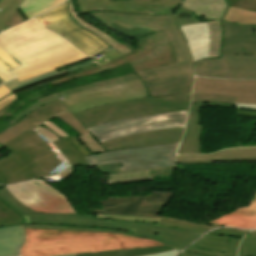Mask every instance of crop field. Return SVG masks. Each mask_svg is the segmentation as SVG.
<instances>
[{
    "mask_svg": "<svg viewBox=\"0 0 256 256\" xmlns=\"http://www.w3.org/2000/svg\"><path fill=\"white\" fill-rule=\"evenodd\" d=\"M104 26L130 38H140L163 30L169 37L177 63L138 71L150 97L191 91L194 63L183 35L172 16L88 12Z\"/></svg>",
    "mask_w": 256,
    "mask_h": 256,
    "instance_id": "1",
    "label": "crop field"
},
{
    "mask_svg": "<svg viewBox=\"0 0 256 256\" xmlns=\"http://www.w3.org/2000/svg\"><path fill=\"white\" fill-rule=\"evenodd\" d=\"M0 199L24 217V223L61 224L118 229L133 232L132 236L157 240L167 246L114 250L77 256H141L174 249L182 250L201 233L172 229L153 223L127 222L95 219V215L87 214H40L32 212L19 204L5 188L0 189Z\"/></svg>",
    "mask_w": 256,
    "mask_h": 256,
    "instance_id": "2",
    "label": "crop field"
},
{
    "mask_svg": "<svg viewBox=\"0 0 256 256\" xmlns=\"http://www.w3.org/2000/svg\"><path fill=\"white\" fill-rule=\"evenodd\" d=\"M0 45L24 65L11 71L17 77L83 55L34 19L0 33Z\"/></svg>",
    "mask_w": 256,
    "mask_h": 256,
    "instance_id": "3",
    "label": "crop field"
},
{
    "mask_svg": "<svg viewBox=\"0 0 256 256\" xmlns=\"http://www.w3.org/2000/svg\"><path fill=\"white\" fill-rule=\"evenodd\" d=\"M3 145L13 153L0 158V184L52 176L68 166L56 148L35 131L23 132Z\"/></svg>",
    "mask_w": 256,
    "mask_h": 256,
    "instance_id": "4",
    "label": "crop field"
},
{
    "mask_svg": "<svg viewBox=\"0 0 256 256\" xmlns=\"http://www.w3.org/2000/svg\"><path fill=\"white\" fill-rule=\"evenodd\" d=\"M162 245L150 239H139L105 233L26 229V243L21 248L20 253L21 256H48Z\"/></svg>",
    "mask_w": 256,
    "mask_h": 256,
    "instance_id": "5",
    "label": "crop field"
},
{
    "mask_svg": "<svg viewBox=\"0 0 256 256\" xmlns=\"http://www.w3.org/2000/svg\"><path fill=\"white\" fill-rule=\"evenodd\" d=\"M224 38L220 59L201 60L195 75L225 79L256 78V36L253 26L222 22Z\"/></svg>",
    "mask_w": 256,
    "mask_h": 256,
    "instance_id": "6",
    "label": "crop field"
},
{
    "mask_svg": "<svg viewBox=\"0 0 256 256\" xmlns=\"http://www.w3.org/2000/svg\"><path fill=\"white\" fill-rule=\"evenodd\" d=\"M191 92L180 95L142 98L122 103L104 105L74 113L86 127L123 118L139 117L169 111L188 110Z\"/></svg>",
    "mask_w": 256,
    "mask_h": 256,
    "instance_id": "7",
    "label": "crop field"
},
{
    "mask_svg": "<svg viewBox=\"0 0 256 256\" xmlns=\"http://www.w3.org/2000/svg\"><path fill=\"white\" fill-rule=\"evenodd\" d=\"M175 62L172 45L165 33L161 31L138 39L137 48L124 56L88 71L66 76L51 82L50 85H55L80 76L95 74L105 69L111 70L126 63H128L134 71H137L152 69Z\"/></svg>",
    "mask_w": 256,
    "mask_h": 256,
    "instance_id": "8",
    "label": "crop field"
},
{
    "mask_svg": "<svg viewBox=\"0 0 256 256\" xmlns=\"http://www.w3.org/2000/svg\"><path fill=\"white\" fill-rule=\"evenodd\" d=\"M81 13L109 11L136 14L173 15L178 26L196 23L193 13L181 7L182 0H78Z\"/></svg>",
    "mask_w": 256,
    "mask_h": 256,
    "instance_id": "9",
    "label": "crop field"
},
{
    "mask_svg": "<svg viewBox=\"0 0 256 256\" xmlns=\"http://www.w3.org/2000/svg\"><path fill=\"white\" fill-rule=\"evenodd\" d=\"M178 143L116 150L85 157L91 166L121 162L120 171L174 165Z\"/></svg>",
    "mask_w": 256,
    "mask_h": 256,
    "instance_id": "10",
    "label": "crop field"
},
{
    "mask_svg": "<svg viewBox=\"0 0 256 256\" xmlns=\"http://www.w3.org/2000/svg\"><path fill=\"white\" fill-rule=\"evenodd\" d=\"M187 113L188 111L169 112L139 118L123 119L94 126L87 130L96 141L103 143L108 140L144 131L184 127Z\"/></svg>",
    "mask_w": 256,
    "mask_h": 256,
    "instance_id": "11",
    "label": "crop field"
},
{
    "mask_svg": "<svg viewBox=\"0 0 256 256\" xmlns=\"http://www.w3.org/2000/svg\"><path fill=\"white\" fill-rule=\"evenodd\" d=\"M191 102L256 104V80H218L195 77Z\"/></svg>",
    "mask_w": 256,
    "mask_h": 256,
    "instance_id": "12",
    "label": "crop field"
},
{
    "mask_svg": "<svg viewBox=\"0 0 256 256\" xmlns=\"http://www.w3.org/2000/svg\"><path fill=\"white\" fill-rule=\"evenodd\" d=\"M22 205L41 213H78L69 200L41 179L5 186Z\"/></svg>",
    "mask_w": 256,
    "mask_h": 256,
    "instance_id": "13",
    "label": "crop field"
},
{
    "mask_svg": "<svg viewBox=\"0 0 256 256\" xmlns=\"http://www.w3.org/2000/svg\"><path fill=\"white\" fill-rule=\"evenodd\" d=\"M141 79L79 92L63 97V104L72 113L94 106L147 97Z\"/></svg>",
    "mask_w": 256,
    "mask_h": 256,
    "instance_id": "14",
    "label": "crop field"
},
{
    "mask_svg": "<svg viewBox=\"0 0 256 256\" xmlns=\"http://www.w3.org/2000/svg\"><path fill=\"white\" fill-rule=\"evenodd\" d=\"M36 18L47 29L65 37L89 57L109 47L97 36L72 21L68 14L67 2Z\"/></svg>",
    "mask_w": 256,
    "mask_h": 256,
    "instance_id": "15",
    "label": "crop field"
},
{
    "mask_svg": "<svg viewBox=\"0 0 256 256\" xmlns=\"http://www.w3.org/2000/svg\"><path fill=\"white\" fill-rule=\"evenodd\" d=\"M171 195L152 192L146 196L106 197V200H100L102 208L96 213L161 217V209Z\"/></svg>",
    "mask_w": 256,
    "mask_h": 256,
    "instance_id": "16",
    "label": "crop field"
},
{
    "mask_svg": "<svg viewBox=\"0 0 256 256\" xmlns=\"http://www.w3.org/2000/svg\"><path fill=\"white\" fill-rule=\"evenodd\" d=\"M182 7L194 12L195 16L210 19L208 25L211 33L210 57H218L222 39L220 18L227 5L225 0H184Z\"/></svg>",
    "mask_w": 256,
    "mask_h": 256,
    "instance_id": "17",
    "label": "crop field"
},
{
    "mask_svg": "<svg viewBox=\"0 0 256 256\" xmlns=\"http://www.w3.org/2000/svg\"><path fill=\"white\" fill-rule=\"evenodd\" d=\"M183 129L184 128H172L161 131L145 132L108 141L101 145L106 151H109L139 146L175 143L180 141Z\"/></svg>",
    "mask_w": 256,
    "mask_h": 256,
    "instance_id": "18",
    "label": "crop field"
},
{
    "mask_svg": "<svg viewBox=\"0 0 256 256\" xmlns=\"http://www.w3.org/2000/svg\"><path fill=\"white\" fill-rule=\"evenodd\" d=\"M65 111H67L66 107L59 100L41 106L40 108L29 113L20 121H18L16 124L13 125V127L1 133L0 143L3 144L7 142L8 140L20 134L23 131L34 130L35 127L52 118L56 114Z\"/></svg>",
    "mask_w": 256,
    "mask_h": 256,
    "instance_id": "19",
    "label": "crop field"
},
{
    "mask_svg": "<svg viewBox=\"0 0 256 256\" xmlns=\"http://www.w3.org/2000/svg\"><path fill=\"white\" fill-rule=\"evenodd\" d=\"M239 238L206 235L186 251L206 256H236Z\"/></svg>",
    "mask_w": 256,
    "mask_h": 256,
    "instance_id": "20",
    "label": "crop field"
},
{
    "mask_svg": "<svg viewBox=\"0 0 256 256\" xmlns=\"http://www.w3.org/2000/svg\"><path fill=\"white\" fill-rule=\"evenodd\" d=\"M194 63L208 58L210 34L206 22L180 26Z\"/></svg>",
    "mask_w": 256,
    "mask_h": 256,
    "instance_id": "21",
    "label": "crop field"
},
{
    "mask_svg": "<svg viewBox=\"0 0 256 256\" xmlns=\"http://www.w3.org/2000/svg\"><path fill=\"white\" fill-rule=\"evenodd\" d=\"M138 78L139 77L135 73H131V74H127V75H123V76H119V77H115V78H110V79H106V80L98 81V82H95V83L78 86V87H75V88H71V89H68V90H64V91H61V92L51 94L49 96L38 99L37 102L31 104L30 106H28L24 110L20 111L16 115L15 119L12 121V125L14 123H16L18 120H20L27 113L36 109L37 107H39L43 104H46L50 101L59 99V98L65 96V95L75 93V92H79V91L92 89V88H96V87L110 85V84H114V83H119V82H124V81H128V80L138 79Z\"/></svg>",
    "mask_w": 256,
    "mask_h": 256,
    "instance_id": "22",
    "label": "crop field"
},
{
    "mask_svg": "<svg viewBox=\"0 0 256 256\" xmlns=\"http://www.w3.org/2000/svg\"><path fill=\"white\" fill-rule=\"evenodd\" d=\"M228 160H256V148L219 151L210 155H177V163H201Z\"/></svg>",
    "mask_w": 256,
    "mask_h": 256,
    "instance_id": "23",
    "label": "crop field"
},
{
    "mask_svg": "<svg viewBox=\"0 0 256 256\" xmlns=\"http://www.w3.org/2000/svg\"><path fill=\"white\" fill-rule=\"evenodd\" d=\"M201 123L199 121V111H190L186 133L183 136L177 154L200 153Z\"/></svg>",
    "mask_w": 256,
    "mask_h": 256,
    "instance_id": "24",
    "label": "crop field"
},
{
    "mask_svg": "<svg viewBox=\"0 0 256 256\" xmlns=\"http://www.w3.org/2000/svg\"><path fill=\"white\" fill-rule=\"evenodd\" d=\"M23 241V225L0 228V256H19Z\"/></svg>",
    "mask_w": 256,
    "mask_h": 256,
    "instance_id": "25",
    "label": "crop field"
},
{
    "mask_svg": "<svg viewBox=\"0 0 256 256\" xmlns=\"http://www.w3.org/2000/svg\"><path fill=\"white\" fill-rule=\"evenodd\" d=\"M92 63H95V62L90 60V61L84 62L82 64H79V65H76V66H73V67H70V68H67V69L59 71V72H56L55 70H53V71H50V72H47V73H43V74L34 76L32 78L26 79V80L21 81V82H19L15 78V79L5 83L4 85H6L9 89L14 91V90L26 87L28 85H31V84H34V83H37V82H40V81L52 78L54 76H57V75H60V74H63V73H66V72H69V71H72V70L84 67V66H87V65L92 64Z\"/></svg>",
    "mask_w": 256,
    "mask_h": 256,
    "instance_id": "26",
    "label": "crop field"
},
{
    "mask_svg": "<svg viewBox=\"0 0 256 256\" xmlns=\"http://www.w3.org/2000/svg\"><path fill=\"white\" fill-rule=\"evenodd\" d=\"M65 0H23L19 8L28 19L33 18L59 4Z\"/></svg>",
    "mask_w": 256,
    "mask_h": 256,
    "instance_id": "27",
    "label": "crop field"
},
{
    "mask_svg": "<svg viewBox=\"0 0 256 256\" xmlns=\"http://www.w3.org/2000/svg\"><path fill=\"white\" fill-rule=\"evenodd\" d=\"M53 145L68 160L69 165H89L87 161L82 157V155L66 138L53 142Z\"/></svg>",
    "mask_w": 256,
    "mask_h": 256,
    "instance_id": "28",
    "label": "crop field"
},
{
    "mask_svg": "<svg viewBox=\"0 0 256 256\" xmlns=\"http://www.w3.org/2000/svg\"><path fill=\"white\" fill-rule=\"evenodd\" d=\"M24 228L32 229H45V230H59V231H83V232H105L120 235L131 236L130 232L100 229V228H88V227H74V226H60V225H42V224H24Z\"/></svg>",
    "mask_w": 256,
    "mask_h": 256,
    "instance_id": "29",
    "label": "crop field"
},
{
    "mask_svg": "<svg viewBox=\"0 0 256 256\" xmlns=\"http://www.w3.org/2000/svg\"><path fill=\"white\" fill-rule=\"evenodd\" d=\"M223 21L244 25H256V12L241 10L229 6Z\"/></svg>",
    "mask_w": 256,
    "mask_h": 256,
    "instance_id": "30",
    "label": "crop field"
},
{
    "mask_svg": "<svg viewBox=\"0 0 256 256\" xmlns=\"http://www.w3.org/2000/svg\"><path fill=\"white\" fill-rule=\"evenodd\" d=\"M207 223H215L240 228H256V217H236L223 215Z\"/></svg>",
    "mask_w": 256,
    "mask_h": 256,
    "instance_id": "31",
    "label": "crop field"
},
{
    "mask_svg": "<svg viewBox=\"0 0 256 256\" xmlns=\"http://www.w3.org/2000/svg\"><path fill=\"white\" fill-rule=\"evenodd\" d=\"M103 173H109V174H120V173H130V172H138V171H143V170H149L151 174V178L153 180L154 176H163V175H171L173 172L174 166L171 167H163V168H149V169H140V170H131V171H124V172H119V165L114 164V165H108V166H101V167H96Z\"/></svg>",
    "mask_w": 256,
    "mask_h": 256,
    "instance_id": "32",
    "label": "crop field"
},
{
    "mask_svg": "<svg viewBox=\"0 0 256 256\" xmlns=\"http://www.w3.org/2000/svg\"><path fill=\"white\" fill-rule=\"evenodd\" d=\"M151 180L149 171H143L139 173L121 174V175H110L108 184H123L130 182H139Z\"/></svg>",
    "mask_w": 256,
    "mask_h": 256,
    "instance_id": "33",
    "label": "crop field"
},
{
    "mask_svg": "<svg viewBox=\"0 0 256 256\" xmlns=\"http://www.w3.org/2000/svg\"><path fill=\"white\" fill-rule=\"evenodd\" d=\"M0 227L23 224L24 219L0 200Z\"/></svg>",
    "mask_w": 256,
    "mask_h": 256,
    "instance_id": "34",
    "label": "crop field"
},
{
    "mask_svg": "<svg viewBox=\"0 0 256 256\" xmlns=\"http://www.w3.org/2000/svg\"><path fill=\"white\" fill-rule=\"evenodd\" d=\"M22 0H0V31L3 23L16 10Z\"/></svg>",
    "mask_w": 256,
    "mask_h": 256,
    "instance_id": "35",
    "label": "crop field"
},
{
    "mask_svg": "<svg viewBox=\"0 0 256 256\" xmlns=\"http://www.w3.org/2000/svg\"><path fill=\"white\" fill-rule=\"evenodd\" d=\"M238 256H256V235L247 234L244 237Z\"/></svg>",
    "mask_w": 256,
    "mask_h": 256,
    "instance_id": "36",
    "label": "crop field"
},
{
    "mask_svg": "<svg viewBox=\"0 0 256 256\" xmlns=\"http://www.w3.org/2000/svg\"><path fill=\"white\" fill-rule=\"evenodd\" d=\"M96 218L128 220V221H140V222H153V223H159L160 222V218L125 216V215H111V214H96Z\"/></svg>",
    "mask_w": 256,
    "mask_h": 256,
    "instance_id": "37",
    "label": "crop field"
},
{
    "mask_svg": "<svg viewBox=\"0 0 256 256\" xmlns=\"http://www.w3.org/2000/svg\"><path fill=\"white\" fill-rule=\"evenodd\" d=\"M78 138L85 145V147L90 151L91 154L105 151L103 147L94 140V138L91 136L89 132L81 136H78Z\"/></svg>",
    "mask_w": 256,
    "mask_h": 256,
    "instance_id": "38",
    "label": "crop field"
},
{
    "mask_svg": "<svg viewBox=\"0 0 256 256\" xmlns=\"http://www.w3.org/2000/svg\"><path fill=\"white\" fill-rule=\"evenodd\" d=\"M20 65L21 64L15 58L0 47V66L10 71Z\"/></svg>",
    "mask_w": 256,
    "mask_h": 256,
    "instance_id": "39",
    "label": "crop field"
},
{
    "mask_svg": "<svg viewBox=\"0 0 256 256\" xmlns=\"http://www.w3.org/2000/svg\"><path fill=\"white\" fill-rule=\"evenodd\" d=\"M227 214L236 215V216H256V194L252 198V200L249 202L247 207L238 208Z\"/></svg>",
    "mask_w": 256,
    "mask_h": 256,
    "instance_id": "40",
    "label": "crop field"
},
{
    "mask_svg": "<svg viewBox=\"0 0 256 256\" xmlns=\"http://www.w3.org/2000/svg\"><path fill=\"white\" fill-rule=\"evenodd\" d=\"M85 58H88V57L85 56V55H83V56H81V57H78V58H75V59H72V60H69V61H66V62L57 64V65H54V66H51V67H48V68H45V69H42V70H39V71L30 73V74H28V75L19 77V78H17V79H18L19 81H21V80H24V79H26V78L32 77V76H34V75H37V74H40V73H43V72H46V71H50V70H53V69H57L58 67H63V66L69 65V64H71V63H74V62L83 60V59H85Z\"/></svg>",
    "mask_w": 256,
    "mask_h": 256,
    "instance_id": "41",
    "label": "crop field"
},
{
    "mask_svg": "<svg viewBox=\"0 0 256 256\" xmlns=\"http://www.w3.org/2000/svg\"><path fill=\"white\" fill-rule=\"evenodd\" d=\"M58 117L62 118L64 121H66L70 126L75 128L79 133L87 132V130L79 123V121L70 114L69 111L58 115Z\"/></svg>",
    "mask_w": 256,
    "mask_h": 256,
    "instance_id": "42",
    "label": "crop field"
},
{
    "mask_svg": "<svg viewBox=\"0 0 256 256\" xmlns=\"http://www.w3.org/2000/svg\"><path fill=\"white\" fill-rule=\"evenodd\" d=\"M230 6L256 11V0H228Z\"/></svg>",
    "mask_w": 256,
    "mask_h": 256,
    "instance_id": "43",
    "label": "crop field"
},
{
    "mask_svg": "<svg viewBox=\"0 0 256 256\" xmlns=\"http://www.w3.org/2000/svg\"><path fill=\"white\" fill-rule=\"evenodd\" d=\"M248 231H238L233 229H216L207 234H214V235H225V236H232V237H240L242 238Z\"/></svg>",
    "mask_w": 256,
    "mask_h": 256,
    "instance_id": "44",
    "label": "crop field"
},
{
    "mask_svg": "<svg viewBox=\"0 0 256 256\" xmlns=\"http://www.w3.org/2000/svg\"><path fill=\"white\" fill-rule=\"evenodd\" d=\"M161 220L171 222V223H176V224L203 227V228H206V229H213V228H216V227H220V226H216V225L195 224V223H190V222L168 219V218H164V217H161Z\"/></svg>",
    "mask_w": 256,
    "mask_h": 256,
    "instance_id": "45",
    "label": "crop field"
},
{
    "mask_svg": "<svg viewBox=\"0 0 256 256\" xmlns=\"http://www.w3.org/2000/svg\"><path fill=\"white\" fill-rule=\"evenodd\" d=\"M76 148L77 150L85 157L91 155L88 150L83 146V144L78 140L77 137H66Z\"/></svg>",
    "mask_w": 256,
    "mask_h": 256,
    "instance_id": "46",
    "label": "crop field"
},
{
    "mask_svg": "<svg viewBox=\"0 0 256 256\" xmlns=\"http://www.w3.org/2000/svg\"><path fill=\"white\" fill-rule=\"evenodd\" d=\"M160 225L172 227V228H178V229H184V230H190V231H196V232H202L205 233L207 230L203 228H197V227H189V226H182V225H176V224H170L166 222H160Z\"/></svg>",
    "mask_w": 256,
    "mask_h": 256,
    "instance_id": "47",
    "label": "crop field"
},
{
    "mask_svg": "<svg viewBox=\"0 0 256 256\" xmlns=\"http://www.w3.org/2000/svg\"><path fill=\"white\" fill-rule=\"evenodd\" d=\"M42 126H44L47 129L53 131L55 134H57L61 138L67 136V133H65L63 130H61L60 128H58L56 125H54L53 123H51L49 121L42 124Z\"/></svg>",
    "mask_w": 256,
    "mask_h": 256,
    "instance_id": "48",
    "label": "crop field"
},
{
    "mask_svg": "<svg viewBox=\"0 0 256 256\" xmlns=\"http://www.w3.org/2000/svg\"><path fill=\"white\" fill-rule=\"evenodd\" d=\"M211 105L233 108V105H228V104H219V103H192V104H191V107H190V110H199V107H202V106H211Z\"/></svg>",
    "mask_w": 256,
    "mask_h": 256,
    "instance_id": "49",
    "label": "crop field"
},
{
    "mask_svg": "<svg viewBox=\"0 0 256 256\" xmlns=\"http://www.w3.org/2000/svg\"><path fill=\"white\" fill-rule=\"evenodd\" d=\"M37 132L41 133L42 135L46 136L51 142L59 139V137L57 135H55L53 132L39 126L38 128H36Z\"/></svg>",
    "mask_w": 256,
    "mask_h": 256,
    "instance_id": "50",
    "label": "crop field"
},
{
    "mask_svg": "<svg viewBox=\"0 0 256 256\" xmlns=\"http://www.w3.org/2000/svg\"><path fill=\"white\" fill-rule=\"evenodd\" d=\"M15 98H17L16 95L12 93L11 95H9V96H7L6 98L2 99V100L0 101V109H1L2 107H4L5 105H7L8 103H10V102H11L12 100H14Z\"/></svg>",
    "mask_w": 256,
    "mask_h": 256,
    "instance_id": "51",
    "label": "crop field"
},
{
    "mask_svg": "<svg viewBox=\"0 0 256 256\" xmlns=\"http://www.w3.org/2000/svg\"><path fill=\"white\" fill-rule=\"evenodd\" d=\"M235 109L256 111V105L234 104Z\"/></svg>",
    "mask_w": 256,
    "mask_h": 256,
    "instance_id": "52",
    "label": "crop field"
},
{
    "mask_svg": "<svg viewBox=\"0 0 256 256\" xmlns=\"http://www.w3.org/2000/svg\"><path fill=\"white\" fill-rule=\"evenodd\" d=\"M0 77L3 78L5 81L10 80L14 78L13 75H11L7 70L0 67Z\"/></svg>",
    "mask_w": 256,
    "mask_h": 256,
    "instance_id": "53",
    "label": "crop field"
},
{
    "mask_svg": "<svg viewBox=\"0 0 256 256\" xmlns=\"http://www.w3.org/2000/svg\"><path fill=\"white\" fill-rule=\"evenodd\" d=\"M11 93L12 91L5 87L3 84L0 85V100Z\"/></svg>",
    "mask_w": 256,
    "mask_h": 256,
    "instance_id": "54",
    "label": "crop field"
},
{
    "mask_svg": "<svg viewBox=\"0 0 256 256\" xmlns=\"http://www.w3.org/2000/svg\"><path fill=\"white\" fill-rule=\"evenodd\" d=\"M179 252H180L179 250H174V251L158 253V254H153V255H147V256H176Z\"/></svg>",
    "mask_w": 256,
    "mask_h": 256,
    "instance_id": "55",
    "label": "crop field"
},
{
    "mask_svg": "<svg viewBox=\"0 0 256 256\" xmlns=\"http://www.w3.org/2000/svg\"><path fill=\"white\" fill-rule=\"evenodd\" d=\"M75 170V167H69L67 168L63 173L59 174L63 179L67 178L73 171Z\"/></svg>",
    "mask_w": 256,
    "mask_h": 256,
    "instance_id": "56",
    "label": "crop field"
},
{
    "mask_svg": "<svg viewBox=\"0 0 256 256\" xmlns=\"http://www.w3.org/2000/svg\"><path fill=\"white\" fill-rule=\"evenodd\" d=\"M238 114L241 115H256V112L253 111H243V110H236Z\"/></svg>",
    "mask_w": 256,
    "mask_h": 256,
    "instance_id": "57",
    "label": "crop field"
},
{
    "mask_svg": "<svg viewBox=\"0 0 256 256\" xmlns=\"http://www.w3.org/2000/svg\"><path fill=\"white\" fill-rule=\"evenodd\" d=\"M18 99V98H17ZM17 99H15L14 101H16ZM14 101H12L11 103H13ZM10 103V104H11ZM10 104H8L7 106H5L4 108H2L1 110H0V117H3V113L5 112V110L4 109H6L8 106H10Z\"/></svg>",
    "mask_w": 256,
    "mask_h": 256,
    "instance_id": "58",
    "label": "crop field"
},
{
    "mask_svg": "<svg viewBox=\"0 0 256 256\" xmlns=\"http://www.w3.org/2000/svg\"><path fill=\"white\" fill-rule=\"evenodd\" d=\"M181 256H201V255H196V254H191V253L184 252Z\"/></svg>",
    "mask_w": 256,
    "mask_h": 256,
    "instance_id": "59",
    "label": "crop field"
},
{
    "mask_svg": "<svg viewBox=\"0 0 256 256\" xmlns=\"http://www.w3.org/2000/svg\"><path fill=\"white\" fill-rule=\"evenodd\" d=\"M58 256H76V254L58 255Z\"/></svg>",
    "mask_w": 256,
    "mask_h": 256,
    "instance_id": "60",
    "label": "crop field"
},
{
    "mask_svg": "<svg viewBox=\"0 0 256 256\" xmlns=\"http://www.w3.org/2000/svg\"><path fill=\"white\" fill-rule=\"evenodd\" d=\"M5 81L3 79L0 78V84L4 83Z\"/></svg>",
    "mask_w": 256,
    "mask_h": 256,
    "instance_id": "61",
    "label": "crop field"
},
{
    "mask_svg": "<svg viewBox=\"0 0 256 256\" xmlns=\"http://www.w3.org/2000/svg\"><path fill=\"white\" fill-rule=\"evenodd\" d=\"M250 233H252V234H256V230H255V231H252V232H250Z\"/></svg>",
    "mask_w": 256,
    "mask_h": 256,
    "instance_id": "62",
    "label": "crop field"
},
{
    "mask_svg": "<svg viewBox=\"0 0 256 256\" xmlns=\"http://www.w3.org/2000/svg\"><path fill=\"white\" fill-rule=\"evenodd\" d=\"M254 30H255V35H256V26H254Z\"/></svg>",
    "mask_w": 256,
    "mask_h": 256,
    "instance_id": "63",
    "label": "crop field"
},
{
    "mask_svg": "<svg viewBox=\"0 0 256 256\" xmlns=\"http://www.w3.org/2000/svg\"><path fill=\"white\" fill-rule=\"evenodd\" d=\"M3 146L0 145V149L2 148Z\"/></svg>",
    "mask_w": 256,
    "mask_h": 256,
    "instance_id": "64",
    "label": "crop field"
},
{
    "mask_svg": "<svg viewBox=\"0 0 256 256\" xmlns=\"http://www.w3.org/2000/svg\"><path fill=\"white\" fill-rule=\"evenodd\" d=\"M2 209L0 208V211H1Z\"/></svg>",
    "mask_w": 256,
    "mask_h": 256,
    "instance_id": "65",
    "label": "crop field"
}]
</instances>
